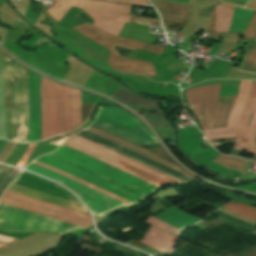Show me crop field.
Returning <instances> with one entry per match:
<instances>
[{"label": "crop field", "mask_w": 256, "mask_h": 256, "mask_svg": "<svg viewBox=\"0 0 256 256\" xmlns=\"http://www.w3.org/2000/svg\"><path fill=\"white\" fill-rule=\"evenodd\" d=\"M0 203L87 228L90 215L5 190ZM0 204V229L10 232L71 233L83 228Z\"/></svg>", "instance_id": "1"}, {"label": "crop field", "mask_w": 256, "mask_h": 256, "mask_svg": "<svg viewBox=\"0 0 256 256\" xmlns=\"http://www.w3.org/2000/svg\"><path fill=\"white\" fill-rule=\"evenodd\" d=\"M42 139L81 124L80 91L41 76Z\"/></svg>", "instance_id": "2"}, {"label": "crop field", "mask_w": 256, "mask_h": 256, "mask_svg": "<svg viewBox=\"0 0 256 256\" xmlns=\"http://www.w3.org/2000/svg\"><path fill=\"white\" fill-rule=\"evenodd\" d=\"M85 36L97 41L98 43L107 47L111 54L118 55L117 51L114 49V46H121L129 49L135 50V48L151 51L155 53H162L163 48L160 46L141 43L122 37H116L110 33H107L93 25L85 24L77 27H73ZM110 55L108 62L113 69L120 70L127 73H139L150 76H156V72L152 67V63L145 62L141 60L131 59L127 57H118Z\"/></svg>", "instance_id": "3"}, {"label": "crop field", "mask_w": 256, "mask_h": 256, "mask_svg": "<svg viewBox=\"0 0 256 256\" xmlns=\"http://www.w3.org/2000/svg\"><path fill=\"white\" fill-rule=\"evenodd\" d=\"M63 145L82 151L156 186L180 182L76 135H73L65 140Z\"/></svg>", "instance_id": "4"}, {"label": "crop field", "mask_w": 256, "mask_h": 256, "mask_svg": "<svg viewBox=\"0 0 256 256\" xmlns=\"http://www.w3.org/2000/svg\"><path fill=\"white\" fill-rule=\"evenodd\" d=\"M37 160H39L41 162H44L46 164H49V165H51L53 167H56V168H58L60 170H63L65 172H67V173H70L72 175H75V176H77L79 178H82V179H84V180H86V181H88L90 183H93V184H95V185H97V186H99L101 188H104V189H106V190H108L110 192H113V193H115V194H117V195H119L121 197H124V198H126V199H128V200H130L132 202H135V201H138V200L142 199V196H140V195H138V194H136L134 192H131V191L125 189V188H122V187H120V186H118V185H116L114 183H111V182H109V181H107V180H105L103 178H100V177H98V176H96V175H94L92 173H89V172H87V171H85L83 169H80V168H78V167H76V166H74L72 164L66 163L64 161L58 160V159L50 157L48 155L41 156ZM37 160H34L32 163L37 164L39 166H42V167H44L46 169H49L51 171H54V172H56L58 174H61V175L65 176V177H67V178H70V179H72L74 181H77V182H79V183H81L83 185H86V186H88V187H90L92 189H95V190H97V191H99L101 193H104V194H106L108 196H111V197H113V198H115L117 200H120V201H122V202H124L126 204L132 203V202H130V201L124 199V198H121V197H119V196H117V195H115L113 193H110V192H108V191H106L104 189H101V188H99V187H97V186H95L93 184H90V183H88V182H86V181H84L82 179H79V178H77L75 176L67 174V173H65L63 171H60V170H58L56 168H53V167H51L49 165L41 163V162H39Z\"/></svg>", "instance_id": "5"}, {"label": "crop field", "mask_w": 256, "mask_h": 256, "mask_svg": "<svg viewBox=\"0 0 256 256\" xmlns=\"http://www.w3.org/2000/svg\"><path fill=\"white\" fill-rule=\"evenodd\" d=\"M50 154L73 162L143 195L153 192L156 188V186L150 183L63 145H61L58 150Z\"/></svg>", "instance_id": "6"}, {"label": "crop field", "mask_w": 256, "mask_h": 256, "mask_svg": "<svg viewBox=\"0 0 256 256\" xmlns=\"http://www.w3.org/2000/svg\"><path fill=\"white\" fill-rule=\"evenodd\" d=\"M100 114H102L104 116H107L109 118H112V119H114L116 121H119L121 123H124L126 125H129L131 127H134L136 129H139V130H141L143 132H146L148 134L153 135V133L147 127H145L139 120H137L135 117L130 115L125 110L117 108V107H99L98 113L96 114V116L93 118L92 121L87 123L83 127V129L86 128L87 126L91 125L92 123H94L95 120L99 117ZM104 116H102V117H104ZM102 117H99L97 119V121L94 123V125L102 128V129H105V130H107L109 132H112V133H114L116 135H119V136H121L123 138H126V139H128L130 141H133V142H135L137 144H141V145H145V146H150V145L158 144V141L154 140V139H156L155 137H153L154 135L153 136L148 135V134L143 133V132H141L139 130H136L134 128H131L129 126H126L124 124L116 122V121H114L112 119H109L107 117H104V118L109 119L111 121H114V122H116L118 124H121V125H123L125 127L133 129V130H135L137 132H140V133H142L144 135L152 137L154 139L149 138V137L144 136V135H142L140 133H137V132H135L133 130H130V129L125 128V127H123L121 125H118V124H116L114 122L106 120V119H104Z\"/></svg>", "instance_id": "7"}, {"label": "crop field", "mask_w": 256, "mask_h": 256, "mask_svg": "<svg viewBox=\"0 0 256 256\" xmlns=\"http://www.w3.org/2000/svg\"><path fill=\"white\" fill-rule=\"evenodd\" d=\"M12 184H16V185H19V186H22V187H26V188H29V189H32V190H36V191H39V192H43V193H46V194H49V195H53V196H56V197H60V198L66 199V200H70V201L79 203L72 196L71 193H69L65 189L61 188L60 186H58V185H56V184H54V183H52L48 180H45L43 178H40L36 175L30 174V173H27V172H24V171H20V173L13 180ZM12 184H10L8 186V188H7L8 190H12V191L19 192V193H22V194H26V195H29V196H32V197H36V198H39V199H43V200H46V201H50V202H53V203H57V204H60V205H64V206H67V207H70V208H74V209H77V210L87 212V210L80 204H76V203H73V202H70V201H66V200H63V199H60V198L49 196V195H46V194H43V193L32 191V190L22 188V187H19V186H16V185H12Z\"/></svg>", "instance_id": "8"}, {"label": "crop field", "mask_w": 256, "mask_h": 256, "mask_svg": "<svg viewBox=\"0 0 256 256\" xmlns=\"http://www.w3.org/2000/svg\"><path fill=\"white\" fill-rule=\"evenodd\" d=\"M26 169L60 182L65 187L70 189L73 193H75L90 208V210L95 213L104 214L126 205L120 201L110 198L104 194H101L95 190H92L86 186H83L79 183H76L70 179H67L61 175H58L32 163H30L26 167Z\"/></svg>", "instance_id": "9"}, {"label": "crop field", "mask_w": 256, "mask_h": 256, "mask_svg": "<svg viewBox=\"0 0 256 256\" xmlns=\"http://www.w3.org/2000/svg\"><path fill=\"white\" fill-rule=\"evenodd\" d=\"M220 91V84L189 89L186 98L198 117L202 128H214V113Z\"/></svg>", "instance_id": "10"}, {"label": "crop field", "mask_w": 256, "mask_h": 256, "mask_svg": "<svg viewBox=\"0 0 256 256\" xmlns=\"http://www.w3.org/2000/svg\"><path fill=\"white\" fill-rule=\"evenodd\" d=\"M256 106V81H252V87L245 108L240 116L237 126V140L234 149H245L246 153L255 154L256 157V127H247L249 117Z\"/></svg>", "instance_id": "11"}, {"label": "crop field", "mask_w": 256, "mask_h": 256, "mask_svg": "<svg viewBox=\"0 0 256 256\" xmlns=\"http://www.w3.org/2000/svg\"><path fill=\"white\" fill-rule=\"evenodd\" d=\"M146 223L151 226L140 242L162 252L171 251L180 230L152 216L148 218Z\"/></svg>", "instance_id": "12"}, {"label": "crop field", "mask_w": 256, "mask_h": 256, "mask_svg": "<svg viewBox=\"0 0 256 256\" xmlns=\"http://www.w3.org/2000/svg\"><path fill=\"white\" fill-rule=\"evenodd\" d=\"M232 6L219 4L216 6V22L214 31L228 32L233 12ZM253 11L234 9L229 32L244 31Z\"/></svg>", "instance_id": "13"}, {"label": "crop field", "mask_w": 256, "mask_h": 256, "mask_svg": "<svg viewBox=\"0 0 256 256\" xmlns=\"http://www.w3.org/2000/svg\"><path fill=\"white\" fill-rule=\"evenodd\" d=\"M54 1L74 5L80 8L126 13V14H129V9H130V5L94 1V0H54ZM58 2H55L47 12H49L54 17V19L59 21L71 6L58 3Z\"/></svg>", "instance_id": "14"}, {"label": "crop field", "mask_w": 256, "mask_h": 256, "mask_svg": "<svg viewBox=\"0 0 256 256\" xmlns=\"http://www.w3.org/2000/svg\"><path fill=\"white\" fill-rule=\"evenodd\" d=\"M251 81L252 80H246L240 82L239 94L236 99V103L232 109L231 116L229 118L228 128L202 129L205 137L208 139L210 143H212L210 139L236 137L237 121L239 119L243 106L247 100Z\"/></svg>", "instance_id": "15"}, {"label": "crop field", "mask_w": 256, "mask_h": 256, "mask_svg": "<svg viewBox=\"0 0 256 256\" xmlns=\"http://www.w3.org/2000/svg\"><path fill=\"white\" fill-rule=\"evenodd\" d=\"M30 142L40 140L39 76L28 71Z\"/></svg>", "instance_id": "16"}, {"label": "crop field", "mask_w": 256, "mask_h": 256, "mask_svg": "<svg viewBox=\"0 0 256 256\" xmlns=\"http://www.w3.org/2000/svg\"><path fill=\"white\" fill-rule=\"evenodd\" d=\"M114 99H118L124 103L130 104H137V105H144L155 108L156 112L147 114V118H145L153 127H170L169 123L165 119L164 113L158 107L156 101L145 99L138 97L128 91L126 88H121L120 90L116 91L112 95H110Z\"/></svg>", "instance_id": "17"}, {"label": "crop field", "mask_w": 256, "mask_h": 256, "mask_svg": "<svg viewBox=\"0 0 256 256\" xmlns=\"http://www.w3.org/2000/svg\"><path fill=\"white\" fill-rule=\"evenodd\" d=\"M162 19L189 23L190 5L166 0H151Z\"/></svg>", "instance_id": "18"}, {"label": "crop field", "mask_w": 256, "mask_h": 256, "mask_svg": "<svg viewBox=\"0 0 256 256\" xmlns=\"http://www.w3.org/2000/svg\"><path fill=\"white\" fill-rule=\"evenodd\" d=\"M93 20V25L108 31L114 35H118L125 22H129L130 16L86 11ZM107 32V33H108Z\"/></svg>", "instance_id": "19"}, {"label": "crop field", "mask_w": 256, "mask_h": 256, "mask_svg": "<svg viewBox=\"0 0 256 256\" xmlns=\"http://www.w3.org/2000/svg\"><path fill=\"white\" fill-rule=\"evenodd\" d=\"M156 217L178 229H181L182 226L193 224L201 220L193 215L179 210L174 206Z\"/></svg>", "instance_id": "20"}, {"label": "crop field", "mask_w": 256, "mask_h": 256, "mask_svg": "<svg viewBox=\"0 0 256 256\" xmlns=\"http://www.w3.org/2000/svg\"><path fill=\"white\" fill-rule=\"evenodd\" d=\"M236 96L237 95L229 96V98L219 97L216 110L215 128L227 127L228 117Z\"/></svg>", "instance_id": "21"}, {"label": "crop field", "mask_w": 256, "mask_h": 256, "mask_svg": "<svg viewBox=\"0 0 256 256\" xmlns=\"http://www.w3.org/2000/svg\"><path fill=\"white\" fill-rule=\"evenodd\" d=\"M222 207L234 213L256 220V208L254 207L239 203L234 200H231L229 203L223 205Z\"/></svg>", "instance_id": "22"}, {"label": "crop field", "mask_w": 256, "mask_h": 256, "mask_svg": "<svg viewBox=\"0 0 256 256\" xmlns=\"http://www.w3.org/2000/svg\"><path fill=\"white\" fill-rule=\"evenodd\" d=\"M213 162H216L223 167H228L230 169L240 172H242L245 165L247 164V161L243 159L237 157L223 156L221 154L217 158H215Z\"/></svg>", "instance_id": "23"}, {"label": "crop field", "mask_w": 256, "mask_h": 256, "mask_svg": "<svg viewBox=\"0 0 256 256\" xmlns=\"http://www.w3.org/2000/svg\"><path fill=\"white\" fill-rule=\"evenodd\" d=\"M0 138L5 139L3 58H0Z\"/></svg>", "instance_id": "24"}, {"label": "crop field", "mask_w": 256, "mask_h": 256, "mask_svg": "<svg viewBox=\"0 0 256 256\" xmlns=\"http://www.w3.org/2000/svg\"><path fill=\"white\" fill-rule=\"evenodd\" d=\"M241 70L256 73V44H253L252 49L246 58Z\"/></svg>", "instance_id": "25"}, {"label": "crop field", "mask_w": 256, "mask_h": 256, "mask_svg": "<svg viewBox=\"0 0 256 256\" xmlns=\"http://www.w3.org/2000/svg\"><path fill=\"white\" fill-rule=\"evenodd\" d=\"M130 22L161 27L160 21L156 20V19H149V18H141V17L131 16Z\"/></svg>", "instance_id": "26"}, {"label": "crop field", "mask_w": 256, "mask_h": 256, "mask_svg": "<svg viewBox=\"0 0 256 256\" xmlns=\"http://www.w3.org/2000/svg\"><path fill=\"white\" fill-rule=\"evenodd\" d=\"M244 38L256 39V12L245 32Z\"/></svg>", "instance_id": "27"}, {"label": "crop field", "mask_w": 256, "mask_h": 256, "mask_svg": "<svg viewBox=\"0 0 256 256\" xmlns=\"http://www.w3.org/2000/svg\"><path fill=\"white\" fill-rule=\"evenodd\" d=\"M35 146H36V144H29L26 152L24 153V155L22 156L21 160L17 164V167H21V168L23 167V165L25 164L26 160L28 159V157L32 153V151L35 148Z\"/></svg>", "instance_id": "28"}, {"label": "crop field", "mask_w": 256, "mask_h": 256, "mask_svg": "<svg viewBox=\"0 0 256 256\" xmlns=\"http://www.w3.org/2000/svg\"><path fill=\"white\" fill-rule=\"evenodd\" d=\"M214 22H215V10H213L210 14V22H209L207 32H211L210 36L221 38L220 33L213 32Z\"/></svg>", "instance_id": "29"}, {"label": "crop field", "mask_w": 256, "mask_h": 256, "mask_svg": "<svg viewBox=\"0 0 256 256\" xmlns=\"http://www.w3.org/2000/svg\"><path fill=\"white\" fill-rule=\"evenodd\" d=\"M19 239H15V238H11V237H8V236H4V235H0V243H3V244H7V245H10L16 241H18Z\"/></svg>", "instance_id": "30"}, {"label": "crop field", "mask_w": 256, "mask_h": 256, "mask_svg": "<svg viewBox=\"0 0 256 256\" xmlns=\"http://www.w3.org/2000/svg\"><path fill=\"white\" fill-rule=\"evenodd\" d=\"M219 46L220 45H217V44H213L208 56L210 55H217V52H218V49H219Z\"/></svg>", "instance_id": "31"}, {"label": "crop field", "mask_w": 256, "mask_h": 256, "mask_svg": "<svg viewBox=\"0 0 256 256\" xmlns=\"http://www.w3.org/2000/svg\"><path fill=\"white\" fill-rule=\"evenodd\" d=\"M249 125L255 126L256 125V109L254 111V114L252 116L251 122Z\"/></svg>", "instance_id": "32"}, {"label": "crop field", "mask_w": 256, "mask_h": 256, "mask_svg": "<svg viewBox=\"0 0 256 256\" xmlns=\"http://www.w3.org/2000/svg\"><path fill=\"white\" fill-rule=\"evenodd\" d=\"M111 1L127 2V3H134V4H141V5L150 6L149 4H145V3H137V2H129V1H121V0H111Z\"/></svg>", "instance_id": "33"}, {"label": "crop field", "mask_w": 256, "mask_h": 256, "mask_svg": "<svg viewBox=\"0 0 256 256\" xmlns=\"http://www.w3.org/2000/svg\"><path fill=\"white\" fill-rule=\"evenodd\" d=\"M129 1H137V2H145V3H148L147 0H129Z\"/></svg>", "instance_id": "34"}, {"label": "crop field", "mask_w": 256, "mask_h": 256, "mask_svg": "<svg viewBox=\"0 0 256 256\" xmlns=\"http://www.w3.org/2000/svg\"><path fill=\"white\" fill-rule=\"evenodd\" d=\"M18 171H19V170H18V169H16V168H14V170H13V172H16V173H18Z\"/></svg>", "instance_id": "35"}, {"label": "crop field", "mask_w": 256, "mask_h": 256, "mask_svg": "<svg viewBox=\"0 0 256 256\" xmlns=\"http://www.w3.org/2000/svg\"><path fill=\"white\" fill-rule=\"evenodd\" d=\"M3 246H7V245L0 244V247H3Z\"/></svg>", "instance_id": "36"}, {"label": "crop field", "mask_w": 256, "mask_h": 256, "mask_svg": "<svg viewBox=\"0 0 256 256\" xmlns=\"http://www.w3.org/2000/svg\"><path fill=\"white\" fill-rule=\"evenodd\" d=\"M172 1H174V0H172ZM177 2H180V1H177ZM182 3H185V2H182ZM188 4H190V2Z\"/></svg>", "instance_id": "37"}]
</instances>
